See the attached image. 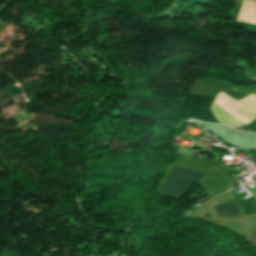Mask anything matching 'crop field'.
<instances>
[{
  "mask_svg": "<svg viewBox=\"0 0 256 256\" xmlns=\"http://www.w3.org/2000/svg\"><path fill=\"white\" fill-rule=\"evenodd\" d=\"M204 174L176 167L164 193L181 197L192 186V184Z\"/></svg>",
  "mask_w": 256,
  "mask_h": 256,
  "instance_id": "1",
  "label": "crop field"
},
{
  "mask_svg": "<svg viewBox=\"0 0 256 256\" xmlns=\"http://www.w3.org/2000/svg\"><path fill=\"white\" fill-rule=\"evenodd\" d=\"M217 215L227 217V218H236L240 216L239 209L235 201L228 202L226 204L220 205L214 208Z\"/></svg>",
  "mask_w": 256,
  "mask_h": 256,
  "instance_id": "2",
  "label": "crop field"
},
{
  "mask_svg": "<svg viewBox=\"0 0 256 256\" xmlns=\"http://www.w3.org/2000/svg\"><path fill=\"white\" fill-rule=\"evenodd\" d=\"M244 215L256 213V198H250L245 201L239 202Z\"/></svg>",
  "mask_w": 256,
  "mask_h": 256,
  "instance_id": "3",
  "label": "crop field"
}]
</instances>
